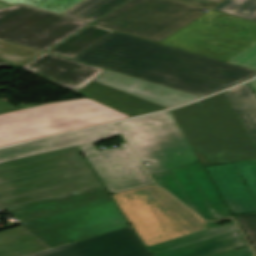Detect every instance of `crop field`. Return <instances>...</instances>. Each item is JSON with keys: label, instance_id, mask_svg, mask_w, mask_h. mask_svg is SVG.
Wrapping results in <instances>:
<instances>
[{"label": "crop field", "instance_id": "crop-field-1", "mask_svg": "<svg viewBox=\"0 0 256 256\" xmlns=\"http://www.w3.org/2000/svg\"><path fill=\"white\" fill-rule=\"evenodd\" d=\"M22 226L0 232V256H24L128 223L91 168L0 189Z\"/></svg>", "mask_w": 256, "mask_h": 256}, {"label": "crop field", "instance_id": "crop-field-2", "mask_svg": "<svg viewBox=\"0 0 256 256\" xmlns=\"http://www.w3.org/2000/svg\"><path fill=\"white\" fill-rule=\"evenodd\" d=\"M71 59L200 96L256 75V71L117 31Z\"/></svg>", "mask_w": 256, "mask_h": 256}, {"label": "crop field", "instance_id": "crop-field-3", "mask_svg": "<svg viewBox=\"0 0 256 256\" xmlns=\"http://www.w3.org/2000/svg\"><path fill=\"white\" fill-rule=\"evenodd\" d=\"M170 112L203 166L256 159L224 92Z\"/></svg>", "mask_w": 256, "mask_h": 256}, {"label": "crop field", "instance_id": "crop-field-4", "mask_svg": "<svg viewBox=\"0 0 256 256\" xmlns=\"http://www.w3.org/2000/svg\"><path fill=\"white\" fill-rule=\"evenodd\" d=\"M122 135L115 124L79 131L0 150V162L77 145L110 194L153 185L127 143L117 149L97 151L94 144Z\"/></svg>", "mask_w": 256, "mask_h": 256}, {"label": "crop field", "instance_id": "crop-field-5", "mask_svg": "<svg viewBox=\"0 0 256 256\" xmlns=\"http://www.w3.org/2000/svg\"><path fill=\"white\" fill-rule=\"evenodd\" d=\"M128 118L89 98L50 103L0 115V147Z\"/></svg>", "mask_w": 256, "mask_h": 256}, {"label": "crop field", "instance_id": "crop-field-6", "mask_svg": "<svg viewBox=\"0 0 256 256\" xmlns=\"http://www.w3.org/2000/svg\"><path fill=\"white\" fill-rule=\"evenodd\" d=\"M112 197L147 247L217 226L206 223L155 185Z\"/></svg>", "mask_w": 256, "mask_h": 256}, {"label": "crop field", "instance_id": "crop-field-7", "mask_svg": "<svg viewBox=\"0 0 256 256\" xmlns=\"http://www.w3.org/2000/svg\"><path fill=\"white\" fill-rule=\"evenodd\" d=\"M141 163L150 162L156 174L198 162L181 129L169 111L117 123Z\"/></svg>", "mask_w": 256, "mask_h": 256}, {"label": "crop field", "instance_id": "crop-field-8", "mask_svg": "<svg viewBox=\"0 0 256 256\" xmlns=\"http://www.w3.org/2000/svg\"><path fill=\"white\" fill-rule=\"evenodd\" d=\"M256 42V23L214 10L159 42L228 61Z\"/></svg>", "mask_w": 256, "mask_h": 256}, {"label": "crop field", "instance_id": "crop-field-9", "mask_svg": "<svg viewBox=\"0 0 256 256\" xmlns=\"http://www.w3.org/2000/svg\"><path fill=\"white\" fill-rule=\"evenodd\" d=\"M22 68L130 117L168 109L93 81L104 69L48 53L42 54ZM75 87L79 90L74 89Z\"/></svg>", "mask_w": 256, "mask_h": 256}, {"label": "crop field", "instance_id": "crop-field-10", "mask_svg": "<svg viewBox=\"0 0 256 256\" xmlns=\"http://www.w3.org/2000/svg\"><path fill=\"white\" fill-rule=\"evenodd\" d=\"M204 14L173 0H130L92 24L159 42Z\"/></svg>", "mask_w": 256, "mask_h": 256}, {"label": "crop field", "instance_id": "crop-field-11", "mask_svg": "<svg viewBox=\"0 0 256 256\" xmlns=\"http://www.w3.org/2000/svg\"><path fill=\"white\" fill-rule=\"evenodd\" d=\"M87 24L17 5L0 15V38L44 51Z\"/></svg>", "mask_w": 256, "mask_h": 256}, {"label": "crop field", "instance_id": "crop-field-12", "mask_svg": "<svg viewBox=\"0 0 256 256\" xmlns=\"http://www.w3.org/2000/svg\"><path fill=\"white\" fill-rule=\"evenodd\" d=\"M152 178L203 218L230 216L200 163L152 175Z\"/></svg>", "mask_w": 256, "mask_h": 256}, {"label": "crop field", "instance_id": "crop-field-13", "mask_svg": "<svg viewBox=\"0 0 256 256\" xmlns=\"http://www.w3.org/2000/svg\"><path fill=\"white\" fill-rule=\"evenodd\" d=\"M75 147L0 163V188L87 168Z\"/></svg>", "mask_w": 256, "mask_h": 256}, {"label": "crop field", "instance_id": "crop-field-14", "mask_svg": "<svg viewBox=\"0 0 256 256\" xmlns=\"http://www.w3.org/2000/svg\"><path fill=\"white\" fill-rule=\"evenodd\" d=\"M235 223L229 222L156 246L149 247L153 256H210L246 246Z\"/></svg>", "mask_w": 256, "mask_h": 256}, {"label": "crop field", "instance_id": "crop-field-15", "mask_svg": "<svg viewBox=\"0 0 256 256\" xmlns=\"http://www.w3.org/2000/svg\"><path fill=\"white\" fill-rule=\"evenodd\" d=\"M28 256H150L130 226Z\"/></svg>", "mask_w": 256, "mask_h": 256}, {"label": "crop field", "instance_id": "crop-field-16", "mask_svg": "<svg viewBox=\"0 0 256 256\" xmlns=\"http://www.w3.org/2000/svg\"><path fill=\"white\" fill-rule=\"evenodd\" d=\"M94 80L168 108L201 98L108 70Z\"/></svg>", "mask_w": 256, "mask_h": 256}, {"label": "crop field", "instance_id": "crop-field-17", "mask_svg": "<svg viewBox=\"0 0 256 256\" xmlns=\"http://www.w3.org/2000/svg\"><path fill=\"white\" fill-rule=\"evenodd\" d=\"M232 214L256 212V203L233 163L206 167Z\"/></svg>", "mask_w": 256, "mask_h": 256}, {"label": "crop field", "instance_id": "crop-field-18", "mask_svg": "<svg viewBox=\"0 0 256 256\" xmlns=\"http://www.w3.org/2000/svg\"><path fill=\"white\" fill-rule=\"evenodd\" d=\"M225 94L256 147V96L252 88L247 83Z\"/></svg>", "mask_w": 256, "mask_h": 256}, {"label": "crop field", "instance_id": "crop-field-19", "mask_svg": "<svg viewBox=\"0 0 256 256\" xmlns=\"http://www.w3.org/2000/svg\"><path fill=\"white\" fill-rule=\"evenodd\" d=\"M111 33V30L91 24L47 52L70 58Z\"/></svg>", "mask_w": 256, "mask_h": 256}, {"label": "crop field", "instance_id": "crop-field-20", "mask_svg": "<svg viewBox=\"0 0 256 256\" xmlns=\"http://www.w3.org/2000/svg\"><path fill=\"white\" fill-rule=\"evenodd\" d=\"M126 0H86L62 16L92 22Z\"/></svg>", "mask_w": 256, "mask_h": 256}, {"label": "crop field", "instance_id": "crop-field-21", "mask_svg": "<svg viewBox=\"0 0 256 256\" xmlns=\"http://www.w3.org/2000/svg\"><path fill=\"white\" fill-rule=\"evenodd\" d=\"M84 0H0L11 5L22 4L55 14H63Z\"/></svg>", "mask_w": 256, "mask_h": 256}, {"label": "crop field", "instance_id": "crop-field-22", "mask_svg": "<svg viewBox=\"0 0 256 256\" xmlns=\"http://www.w3.org/2000/svg\"><path fill=\"white\" fill-rule=\"evenodd\" d=\"M41 52L42 51H38L0 39V58L18 66L27 62Z\"/></svg>", "mask_w": 256, "mask_h": 256}, {"label": "crop field", "instance_id": "crop-field-23", "mask_svg": "<svg viewBox=\"0 0 256 256\" xmlns=\"http://www.w3.org/2000/svg\"><path fill=\"white\" fill-rule=\"evenodd\" d=\"M214 10L256 21V0H223Z\"/></svg>", "mask_w": 256, "mask_h": 256}, {"label": "crop field", "instance_id": "crop-field-24", "mask_svg": "<svg viewBox=\"0 0 256 256\" xmlns=\"http://www.w3.org/2000/svg\"><path fill=\"white\" fill-rule=\"evenodd\" d=\"M256 201V160L234 163Z\"/></svg>", "mask_w": 256, "mask_h": 256}, {"label": "crop field", "instance_id": "crop-field-25", "mask_svg": "<svg viewBox=\"0 0 256 256\" xmlns=\"http://www.w3.org/2000/svg\"><path fill=\"white\" fill-rule=\"evenodd\" d=\"M256 253V214L236 216Z\"/></svg>", "mask_w": 256, "mask_h": 256}, {"label": "crop field", "instance_id": "crop-field-26", "mask_svg": "<svg viewBox=\"0 0 256 256\" xmlns=\"http://www.w3.org/2000/svg\"><path fill=\"white\" fill-rule=\"evenodd\" d=\"M227 63L256 70V43L236 57L229 60Z\"/></svg>", "mask_w": 256, "mask_h": 256}, {"label": "crop field", "instance_id": "crop-field-27", "mask_svg": "<svg viewBox=\"0 0 256 256\" xmlns=\"http://www.w3.org/2000/svg\"><path fill=\"white\" fill-rule=\"evenodd\" d=\"M181 1L211 9L216 4H218L221 0H181Z\"/></svg>", "mask_w": 256, "mask_h": 256}, {"label": "crop field", "instance_id": "crop-field-28", "mask_svg": "<svg viewBox=\"0 0 256 256\" xmlns=\"http://www.w3.org/2000/svg\"><path fill=\"white\" fill-rule=\"evenodd\" d=\"M253 255L252 251L250 250L249 246L240 248L231 252H227L217 256H251Z\"/></svg>", "mask_w": 256, "mask_h": 256}, {"label": "crop field", "instance_id": "crop-field-29", "mask_svg": "<svg viewBox=\"0 0 256 256\" xmlns=\"http://www.w3.org/2000/svg\"><path fill=\"white\" fill-rule=\"evenodd\" d=\"M8 108H14V106L0 100V109H8Z\"/></svg>", "mask_w": 256, "mask_h": 256}, {"label": "crop field", "instance_id": "crop-field-30", "mask_svg": "<svg viewBox=\"0 0 256 256\" xmlns=\"http://www.w3.org/2000/svg\"><path fill=\"white\" fill-rule=\"evenodd\" d=\"M23 108H27V107L15 108V109H8V110H0V114H2V113H7V112H11V111H15V110H19V109H23Z\"/></svg>", "mask_w": 256, "mask_h": 256}, {"label": "crop field", "instance_id": "crop-field-31", "mask_svg": "<svg viewBox=\"0 0 256 256\" xmlns=\"http://www.w3.org/2000/svg\"><path fill=\"white\" fill-rule=\"evenodd\" d=\"M251 85H252V87H253V89H254V91L256 93V80L251 82Z\"/></svg>", "mask_w": 256, "mask_h": 256}, {"label": "crop field", "instance_id": "crop-field-32", "mask_svg": "<svg viewBox=\"0 0 256 256\" xmlns=\"http://www.w3.org/2000/svg\"><path fill=\"white\" fill-rule=\"evenodd\" d=\"M4 65H10V64L0 60V66H4Z\"/></svg>", "mask_w": 256, "mask_h": 256}, {"label": "crop field", "instance_id": "crop-field-33", "mask_svg": "<svg viewBox=\"0 0 256 256\" xmlns=\"http://www.w3.org/2000/svg\"><path fill=\"white\" fill-rule=\"evenodd\" d=\"M7 6H10V5H7V4H4V3H0V8L7 7Z\"/></svg>", "mask_w": 256, "mask_h": 256}, {"label": "crop field", "instance_id": "crop-field-34", "mask_svg": "<svg viewBox=\"0 0 256 256\" xmlns=\"http://www.w3.org/2000/svg\"><path fill=\"white\" fill-rule=\"evenodd\" d=\"M8 8H10V7L0 9V14H1L2 12H4L5 10H7Z\"/></svg>", "mask_w": 256, "mask_h": 256}]
</instances>
